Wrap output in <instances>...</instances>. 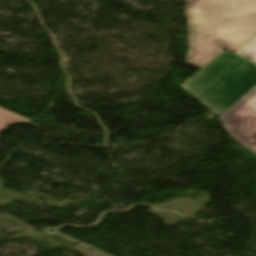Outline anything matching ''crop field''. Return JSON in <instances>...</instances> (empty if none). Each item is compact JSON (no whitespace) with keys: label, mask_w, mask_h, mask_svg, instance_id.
Returning <instances> with one entry per match:
<instances>
[{"label":"crop field","mask_w":256,"mask_h":256,"mask_svg":"<svg viewBox=\"0 0 256 256\" xmlns=\"http://www.w3.org/2000/svg\"><path fill=\"white\" fill-rule=\"evenodd\" d=\"M187 63L202 69L224 48L236 51L256 34V0H186Z\"/></svg>","instance_id":"crop-field-1"},{"label":"crop field","mask_w":256,"mask_h":256,"mask_svg":"<svg viewBox=\"0 0 256 256\" xmlns=\"http://www.w3.org/2000/svg\"><path fill=\"white\" fill-rule=\"evenodd\" d=\"M255 85L256 66L224 52L180 87L217 114L224 112Z\"/></svg>","instance_id":"crop-field-2"},{"label":"crop field","mask_w":256,"mask_h":256,"mask_svg":"<svg viewBox=\"0 0 256 256\" xmlns=\"http://www.w3.org/2000/svg\"><path fill=\"white\" fill-rule=\"evenodd\" d=\"M219 119L239 145L256 151V88Z\"/></svg>","instance_id":"crop-field-3"},{"label":"crop field","mask_w":256,"mask_h":256,"mask_svg":"<svg viewBox=\"0 0 256 256\" xmlns=\"http://www.w3.org/2000/svg\"><path fill=\"white\" fill-rule=\"evenodd\" d=\"M32 121L17 115L7 109L0 107V130L12 125V124H28Z\"/></svg>","instance_id":"crop-field-4"},{"label":"crop field","mask_w":256,"mask_h":256,"mask_svg":"<svg viewBox=\"0 0 256 256\" xmlns=\"http://www.w3.org/2000/svg\"><path fill=\"white\" fill-rule=\"evenodd\" d=\"M235 54L256 64V35L238 49Z\"/></svg>","instance_id":"crop-field-5"},{"label":"crop field","mask_w":256,"mask_h":256,"mask_svg":"<svg viewBox=\"0 0 256 256\" xmlns=\"http://www.w3.org/2000/svg\"><path fill=\"white\" fill-rule=\"evenodd\" d=\"M254 154H256V152H254Z\"/></svg>","instance_id":"crop-field-6"}]
</instances>
